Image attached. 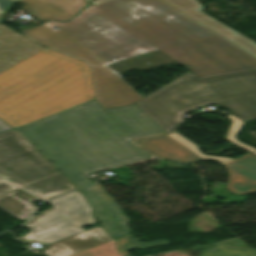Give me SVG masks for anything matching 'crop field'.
<instances>
[{
  "label": "crop field",
  "mask_w": 256,
  "mask_h": 256,
  "mask_svg": "<svg viewBox=\"0 0 256 256\" xmlns=\"http://www.w3.org/2000/svg\"><path fill=\"white\" fill-rule=\"evenodd\" d=\"M23 29L39 44L90 64L96 99L104 108L142 97L120 79L128 70L178 62L206 77L256 68V58L160 0H108L88 5L67 22Z\"/></svg>",
  "instance_id": "obj_1"
},
{
  "label": "crop field",
  "mask_w": 256,
  "mask_h": 256,
  "mask_svg": "<svg viewBox=\"0 0 256 256\" xmlns=\"http://www.w3.org/2000/svg\"><path fill=\"white\" fill-rule=\"evenodd\" d=\"M17 130L79 187L87 174L151 157L130 140L164 132L135 104L104 110L95 99Z\"/></svg>",
  "instance_id": "obj_2"
},
{
  "label": "crop field",
  "mask_w": 256,
  "mask_h": 256,
  "mask_svg": "<svg viewBox=\"0 0 256 256\" xmlns=\"http://www.w3.org/2000/svg\"><path fill=\"white\" fill-rule=\"evenodd\" d=\"M92 98L87 64L47 48L0 73V118L15 128Z\"/></svg>",
  "instance_id": "obj_3"
},
{
  "label": "crop field",
  "mask_w": 256,
  "mask_h": 256,
  "mask_svg": "<svg viewBox=\"0 0 256 256\" xmlns=\"http://www.w3.org/2000/svg\"><path fill=\"white\" fill-rule=\"evenodd\" d=\"M212 103L246 123L255 120L256 69L202 79L187 72L136 105L167 132L183 121V114Z\"/></svg>",
  "instance_id": "obj_4"
},
{
  "label": "crop field",
  "mask_w": 256,
  "mask_h": 256,
  "mask_svg": "<svg viewBox=\"0 0 256 256\" xmlns=\"http://www.w3.org/2000/svg\"><path fill=\"white\" fill-rule=\"evenodd\" d=\"M0 174L42 200L76 189L14 129L0 134Z\"/></svg>",
  "instance_id": "obj_5"
},
{
  "label": "crop field",
  "mask_w": 256,
  "mask_h": 256,
  "mask_svg": "<svg viewBox=\"0 0 256 256\" xmlns=\"http://www.w3.org/2000/svg\"><path fill=\"white\" fill-rule=\"evenodd\" d=\"M48 203L53 208L33 217L25 226L31 231L19 238L48 244L84 231L81 227L95 222L92 208L78 190L53 199Z\"/></svg>",
  "instance_id": "obj_6"
},
{
  "label": "crop field",
  "mask_w": 256,
  "mask_h": 256,
  "mask_svg": "<svg viewBox=\"0 0 256 256\" xmlns=\"http://www.w3.org/2000/svg\"><path fill=\"white\" fill-rule=\"evenodd\" d=\"M105 0H94L91 3L97 4ZM174 10L183 14L184 16L194 20L203 25L214 33L220 35L241 49L247 51L256 57V43L216 21L205 13L201 12L203 7L197 0H161Z\"/></svg>",
  "instance_id": "obj_7"
},
{
  "label": "crop field",
  "mask_w": 256,
  "mask_h": 256,
  "mask_svg": "<svg viewBox=\"0 0 256 256\" xmlns=\"http://www.w3.org/2000/svg\"><path fill=\"white\" fill-rule=\"evenodd\" d=\"M89 203L96 209L94 217L102 223V228L115 238L132 232L127 226L128 218L101 187L99 183L81 189Z\"/></svg>",
  "instance_id": "obj_8"
},
{
  "label": "crop field",
  "mask_w": 256,
  "mask_h": 256,
  "mask_svg": "<svg viewBox=\"0 0 256 256\" xmlns=\"http://www.w3.org/2000/svg\"><path fill=\"white\" fill-rule=\"evenodd\" d=\"M23 36L0 24V72L44 48Z\"/></svg>",
  "instance_id": "obj_9"
},
{
  "label": "crop field",
  "mask_w": 256,
  "mask_h": 256,
  "mask_svg": "<svg viewBox=\"0 0 256 256\" xmlns=\"http://www.w3.org/2000/svg\"><path fill=\"white\" fill-rule=\"evenodd\" d=\"M229 180L225 186L234 195L256 192V156L248 153L222 163Z\"/></svg>",
  "instance_id": "obj_10"
},
{
  "label": "crop field",
  "mask_w": 256,
  "mask_h": 256,
  "mask_svg": "<svg viewBox=\"0 0 256 256\" xmlns=\"http://www.w3.org/2000/svg\"><path fill=\"white\" fill-rule=\"evenodd\" d=\"M112 240L111 236L100 225L47 245L44 251L48 256H71L99 244Z\"/></svg>",
  "instance_id": "obj_11"
},
{
  "label": "crop field",
  "mask_w": 256,
  "mask_h": 256,
  "mask_svg": "<svg viewBox=\"0 0 256 256\" xmlns=\"http://www.w3.org/2000/svg\"><path fill=\"white\" fill-rule=\"evenodd\" d=\"M24 9L42 21L71 18L85 4V0H21Z\"/></svg>",
  "instance_id": "obj_12"
},
{
  "label": "crop field",
  "mask_w": 256,
  "mask_h": 256,
  "mask_svg": "<svg viewBox=\"0 0 256 256\" xmlns=\"http://www.w3.org/2000/svg\"><path fill=\"white\" fill-rule=\"evenodd\" d=\"M134 142L143 149L160 158L178 162L202 160L200 157L166 135L143 138L141 140H135Z\"/></svg>",
  "instance_id": "obj_13"
},
{
  "label": "crop field",
  "mask_w": 256,
  "mask_h": 256,
  "mask_svg": "<svg viewBox=\"0 0 256 256\" xmlns=\"http://www.w3.org/2000/svg\"><path fill=\"white\" fill-rule=\"evenodd\" d=\"M37 200V198L17 188L0 195V208L20 220H25L38 209L33 205V202Z\"/></svg>",
  "instance_id": "obj_14"
},
{
  "label": "crop field",
  "mask_w": 256,
  "mask_h": 256,
  "mask_svg": "<svg viewBox=\"0 0 256 256\" xmlns=\"http://www.w3.org/2000/svg\"><path fill=\"white\" fill-rule=\"evenodd\" d=\"M116 240H117V248H118L119 252L125 256H130L126 252V250H128L130 248L139 247L141 249H144V248H150V247L169 244L168 241H166V240H160V241H154V242H148V243H140V242H137L136 239L130 234L125 235L120 238H117Z\"/></svg>",
  "instance_id": "obj_15"
},
{
  "label": "crop field",
  "mask_w": 256,
  "mask_h": 256,
  "mask_svg": "<svg viewBox=\"0 0 256 256\" xmlns=\"http://www.w3.org/2000/svg\"><path fill=\"white\" fill-rule=\"evenodd\" d=\"M227 118H229L231 120V124L230 127L227 131V134L225 136V140L233 143L234 145L248 151V152H252V151H256V148H253L251 146H248L244 143H242L241 141H239L238 139H236V135L239 133V131L241 130L244 122L241 121L240 119H238L237 117H235L234 115H229L227 116Z\"/></svg>",
  "instance_id": "obj_16"
},
{
  "label": "crop field",
  "mask_w": 256,
  "mask_h": 256,
  "mask_svg": "<svg viewBox=\"0 0 256 256\" xmlns=\"http://www.w3.org/2000/svg\"><path fill=\"white\" fill-rule=\"evenodd\" d=\"M201 256H256V252L243 249L228 248L218 244L204 250Z\"/></svg>",
  "instance_id": "obj_17"
},
{
  "label": "crop field",
  "mask_w": 256,
  "mask_h": 256,
  "mask_svg": "<svg viewBox=\"0 0 256 256\" xmlns=\"http://www.w3.org/2000/svg\"><path fill=\"white\" fill-rule=\"evenodd\" d=\"M74 256H121L115 249V242L112 240Z\"/></svg>",
  "instance_id": "obj_18"
},
{
  "label": "crop field",
  "mask_w": 256,
  "mask_h": 256,
  "mask_svg": "<svg viewBox=\"0 0 256 256\" xmlns=\"http://www.w3.org/2000/svg\"><path fill=\"white\" fill-rule=\"evenodd\" d=\"M167 135L203 159H214V160H218L220 163L231 159V158H225V157L204 155L203 153L198 151L197 146H195L194 144H192L191 142H189L188 140H186L184 137H182L176 132L172 134H167Z\"/></svg>",
  "instance_id": "obj_19"
},
{
  "label": "crop field",
  "mask_w": 256,
  "mask_h": 256,
  "mask_svg": "<svg viewBox=\"0 0 256 256\" xmlns=\"http://www.w3.org/2000/svg\"><path fill=\"white\" fill-rule=\"evenodd\" d=\"M14 4L15 2H12L10 0H0V22L14 6Z\"/></svg>",
  "instance_id": "obj_20"
},
{
  "label": "crop field",
  "mask_w": 256,
  "mask_h": 256,
  "mask_svg": "<svg viewBox=\"0 0 256 256\" xmlns=\"http://www.w3.org/2000/svg\"><path fill=\"white\" fill-rule=\"evenodd\" d=\"M15 188H17V187L14 186L13 184L9 183L8 181H6L4 179L0 180V194L6 193Z\"/></svg>",
  "instance_id": "obj_21"
},
{
  "label": "crop field",
  "mask_w": 256,
  "mask_h": 256,
  "mask_svg": "<svg viewBox=\"0 0 256 256\" xmlns=\"http://www.w3.org/2000/svg\"><path fill=\"white\" fill-rule=\"evenodd\" d=\"M10 129H12V128L9 125H7L5 122L0 120V133L8 131Z\"/></svg>",
  "instance_id": "obj_22"
},
{
  "label": "crop field",
  "mask_w": 256,
  "mask_h": 256,
  "mask_svg": "<svg viewBox=\"0 0 256 256\" xmlns=\"http://www.w3.org/2000/svg\"><path fill=\"white\" fill-rule=\"evenodd\" d=\"M253 154H255V155H256V152H253Z\"/></svg>",
  "instance_id": "obj_23"
},
{
  "label": "crop field",
  "mask_w": 256,
  "mask_h": 256,
  "mask_svg": "<svg viewBox=\"0 0 256 256\" xmlns=\"http://www.w3.org/2000/svg\"><path fill=\"white\" fill-rule=\"evenodd\" d=\"M86 1H88V2H89L90 0H86Z\"/></svg>",
  "instance_id": "obj_24"
},
{
  "label": "crop field",
  "mask_w": 256,
  "mask_h": 256,
  "mask_svg": "<svg viewBox=\"0 0 256 256\" xmlns=\"http://www.w3.org/2000/svg\"><path fill=\"white\" fill-rule=\"evenodd\" d=\"M17 1H20V0H17Z\"/></svg>",
  "instance_id": "obj_25"
},
{
  "label": "crop field",
  "mask_w": 256,
  "mask_h": 256,
  "mask_svg": "<svg viewBox=\"0 0 256 256\" xmlns=\"http://www.w3.org/2000/svg\"><path fill=\"white\" fill-rule=\"evenodd\" d=\"M1 178V177H0Z\"/></svg>",
  "instance_id": "obj_26"
}]
</instances>
